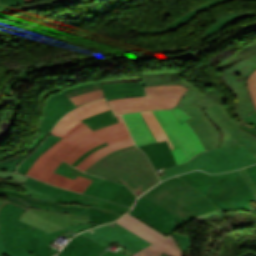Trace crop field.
Returning <instances> with one entry per match:
<instances>
[{"label": "crop field", "instance_id": "22", "mask_svg": "<svg viewBox=\"0 0 256 256\" xmlns=\"http://www.w3.org/2000/svg\"><path fill=\"white\" fill-rule=\"evenodd\" d=\"M139 148L148 155L157 173L177 165L166 141L140 146Z\"/></svg>", "mask_w": 256, "mask_h": 256}, {"label": "crop field", "instance_id": "51", "mask_svg": "<svg viewBox=\"0 0 256 256\" xmlns=\"http://www.w3.org/2000/svg\"><path fill=\"white\" fill-rule=\"evenodd\" d=\"M154 115L156 116L157 120L159 121L160 125L162 126V128L164 129V131L166 132V134L168 135L174 149L177 148L176 143L174 142L173 138L171 137L170 133L168 132L167 128L165 127L164 123L162 122L160 116L158 115V113L156 111H153Z\"/></svg>", "mask_w": 256, "mask_h": 256}, {"label": "crop field", "instance_id": "5", "mask_svg": "<svg viewBox=\"0 0 256 256\" xmlns=\"http://www.w3.org/2000/svg\"><path fill=\"white\" fill-rule=\"evenodd\" d=\"M15 186L25 189L28 196L16 191L3 190L8 201L27 208L31 210L30 212L59 226L89 223L87 207L52 202L55 197L42 194L23 185Z\"/></svg>", "mask_w": 256, "mask_h": 256}, {"label": "crop field", "instance_id": "43", "mask_svg": "<svg viewBox=\"0 0 256 256\" xmlns=\"http://www.w3.org/2000/svg\"><path fill=\"white\" fill-rule=\"evenodd\" d=\"M247 86L256 109V70L248 77Z\"/></svg>", "mask_w": 256, "mask_h": 256}, {"label": "crop field", "instance_id": "10", "mask_svg": "<svg viewBox=\"0 0 256 256\" xmlns=\"http://www.w3.org/2000/svg\"><path fill=\"white\" fill-rule=\"evenodd\" d=\"M116 222L152 244L131 256H160L162 253L167 256H183L182 250L172 235L165 237L156 229L128 213Z\"/></svg>", "mask_w": 256, "mask_h": 256}, {"label": "crop field", "instance_id": "2", "mask_svg": "<svg viewBox=\"0 0 256 256\" xmlns=\"http://www.w3.org/2000/svg\"><path fill=\"white\" fill-rule=\"evenodd\" d=\"M117 118L120 122L104 127L95 132L89 129L85 124L80 123L66 136H64V138L72 143L56 156L72 164L91 148L104 142L109 143L110 145L94 152L76 166L84 171L108 153L121 147L133 145V140L121 116L117 115Z\"/></svg>", "mask_w": 256, "mask_h": 256}, {"label": "crop field", "instance_id": "15", "mask_svg": "<svg viewBox=\"0 0 256 256\" xmlns=\"http://www.w3.org/2000/svg\"><path fill=\"white\" fill-rule=\"evenodd\" d=\"M77 106L63 93L53 94L47 97L46 104L37 129L42 130L43 135L27 151L31 153L35 150L44 138L48 135L54 124L69 110Z\"/></svg>", "mask_w": 256, "mask_h": 256}, {"label": "crop field", "instance_id": "38", "mask_svg": "<svg viewBox=\"0 0 256 256\" xmlns=\"http://www.w3.org/2000/svg\"><path fill=\"white\" fill-rule=\"evenodd\" d=\"M133 60H149V59H183L195 61L192 50L186 53L179 54L177 56H132Z\"/></svg>", "mask_w": 256, "mask_h": 256}, {"label": "crop field", "instance_id": "49", "mask_svg": "<svg viewBox=\"0 0 256 256\" xmlns=\"http://www.w3.org/2000/svg\"><path fill=\"white\" fill-rule=\"evenodd\" d=\"M1 2H6L7 10L21 6L23 4H28L25 0H1Z\"/></svg>", "mask_w": 256, "mask_h": 256}, {"label": "crop field", "instance_id": "20", "mask_svg": "<svg viewBox=\"0 0 256 256\" xmlns=\"http://www.w3.org/2000/svg\"><path fill=\"white\" fill-rule=\"evenodd\" d=\"M236 75L225 73L227 86H230L232 90L237 94L238 101L237 106L234 107V115L242 119L247 114L253 112L255 109L252 105L250 95L246 86V77L242 81H237Z\"/></svg>", "mask_w": 256, "mask_h": 256}, {"label": "crop field", "instance_id": "33", "mask_svg": "<svg viewBox=\"0 0 256 256\" xmlns=\"http://www.w3.org/2000/svg\"><path fill=\"white\" fill-rule=\"evenodd\" d=\"M146 122L148 123L151 131L153 132L157 142L166 140L170 149H173L167 135L159 125L158 121L156 120L155 116L153 115L152 111L149 112H142Z\"/></svg>", "mask_w": 256, "mask_h": 256}, {"label": "crop field", "instance_id": "26", "mask_svg": "<svg viewBox=\"0 0 256 256\" xmlns=\"http://www.w3.org/2000/svg\"><path fill=\"white\" fill-rule=\"evenodd\" d=\"M129 210L130 209L125 206L109 202L105 203L97 209L88 207L89 221L90 223H107L115 221Z\"/></svg>", "mask_w": 256, "mask_h": 256}, {"label": "crop field", "instance_id": "25", "mask_svg": "<svg viewBox=\"0 0 256 256\" xmlns=\"http://www.w3.org/2000/svg\"><path fill=\"white\" fill-rule=\"evenodd\" d=\"M106 100L145 95L143 82H123L101 84Z\"/></svg>", "mask_w": 256, "mask_h": 256}, {"label": "crop field", "instance_id": "6", "mask_svg": "<svg viewBox=\"0 0 256 256\" xmlns=\"http://www.w3.org/2000/svg\"><path fill=\"white\" fill-rule=\"evenodd\" d=\"M255 163L256 156L243 145L231 153L219 147L208 150L185 164L163 170L166 175L160 177V179L164 180L194 169H202L209 173H221Z\"/></svg>", "mask_w": 256, "mask_h": 256}, {"label": "crop field", "instance_id": "14", "mask_svg": "<svg viewBox=\"0 0 256 256\" xmlns=\"http://www.w3.org/2000/svg\"><path fill=\"white\" fill-rule=\"evenodd\" d=\"M81 235L91 240H94L104 246L110 245L118 241L132 254L151 245L147 241L129 232L115 222L106 226L94 228L85 233H81Z\"/></svg>", "mask_w": 256, "mask_h": 256}, {"label": "crop field", "instance_id": "28", "mask_svg": "<svg viewBox=\"0 0 256 256\" xmlns=\"http://www.w3.org/2000/svg\"><path fill=\"white\" fill-rule=\"evenodd\" d=\"M56 202H61L64 204H72L73 202L78 203L79 205L89 206V207H99L104 204L106 201L91 198L88 196L80 195L74 192L64 190L57 198Z\"/></svg>", "mask_w": 256, "mask_h": 256}, {"label": "crop field", "instance_id": "59", "mask_svg": "<svg viewBox=\"0 0 256 256\" xmlns=\"http://www.w3.org/2000/svg\"><path fill=\"white\" fill-rule=\"evenodd\" d=\"M102 256H127V255L117 254V253H114L112 251L106 250Z\"/></svg>", "mask_w": 256, "mask_h": 256}, {"label": "crop field", "instance_id": "62", "mask_svg": "<svg viewBox=\"0 0 256 256\" xmlns=\"http://www.w3.org/2000/svg\"><path fill=\"white\" fill-rule=\"evenodd\" d=\"M17 168V166L13 167L12 169H10V171H15Z\"/></svg>", "mask_w": 256, "mask_h": 256}, {"label": "crop field", "instance_id": "64", "mask_svg": "<svg viewBox=\"0 0 256 256\" xmlns=\"http://www.w3.org/2000/svg\"><path fill=\"white\" fill-rule=\"evenodd\" d=\"M161 256H164L163 254Z\"/></svg>", "mask_w": 256, "mask_h": 256}, {"label": "crop field", "instance_id": "65", "mask_svg": "<svg viewBox=\"0 0 256 256\" xmlns=\"http://www.w3.org/2000/svg\"><path fill=\"white\" fill-rule=\"evenodd\" d=\"M6 183V182H5Z\"/></svg>", "mask_w": 256, "mask_h": 256}, {"label": "crop field", "instance_id": "55", "mask_svg": "<svg viewBox=\"0 0 256 256\" xmlns=\"http://www.w3.org/2000/svg\"><path fill=\"white\" fill-rule=\"evenodd\" d=\"M246 170L249 176L251 177V179L253 180L254 184L256 185V165L246 167Z\"/></svg>", "mask_w": 256, "mask_h": 256}, {"label": "crop field", "instance_id": "47", "mask_svg": "<svg viewBox=\"0 0 256 256\" xmlns=\"http://www.w3.org/2000/svg\"><path fill=\"white\" fill-rule=\"evenodd\" d=\"M171 111L176 116V118L180 121L181 124L185 122L187 119L191 118L190 115H188L185 111L181 110L178 107H176Z\"/></svg>", "mask_w": 256, "mask_h": 256}, {"label": "crop field", "instance_id": "36", "mask_svg": "<svg viewBox=\"0 0 256 256\" xmlns=\"http://www.w3.org/2000/svg\"><path fill=\"white\" fill-rule=\"evenodd\" d=\"M136 198L124 184L110 200L131 207Z\"/></svg>", "mask_w": 256, "mask_h": 256}, {"label": "crop field", "instance_id": "53", "mask_svg": "<svg viewBox=\"0 0 256 256\" xmlns=\"http://www.w3.org/2000/svg\"><path fill=\"white\" fill-rule=\"evenodd\" d=\"M73 63H77V61H69V62H64V63H49V64H45V65H38L37 67L39 68V70H41L44 68H52V67L59 66V65H69V64H73Z\"/></svg>", "mask_w": 256, "mask_h": 256}, {"label": "crop field", "instance_id": "61", "mask_svg": "<svg viewBox=\"0 0 256 256\" xmlns=\"http://www.w3.org/2000/svg\"><path fill=\"white\" fill-rule=\"evenodd\" d=\"M36 1H40V0H30V1H27V2L32 3V2H36Z\"/></svg>", "mask_w": 256, "mask_h": 256}, {"label": "crop field", "instance_id": "17", "mask_svg": "<svg viewBox=\"0 0 256 256\" xmlns=\"http://www.w3.org/2000/svg\"><path fill=\"white\" fill-rule=\"evenodd\" d=\"M62 229L26 210L19 221V229L17 235L18 245L26 252L28 256H34L28 247L27 236L41 238L45 234Z\"/></svg>", "mask_w": 256, "mask_h": 256}, {"label": "crop field", "instance_id": "44", "mask_svg": "<svg viewBox=\"0 0 256 256\" xmlns=\"http://www.w3.org/2000/svg\"><path fill=\"white\" fill-rule=\"evenodd\" d=\"M8 177H12L13 180H8L7 183H11V184H22L27 177L25 176H21L18 175L16 173H12L9 171H2L0 172V178H8Z\"/></svg>", "mask_w": 256, "mask_h": 256}, {"label": "crop field", "instance_id": "24", "mask_svg": "<svg viewBox=\"0 0 256 256\" xmlns=\"http://www.w3.org/2000/svg\"><path fill=\"white\" fill-rule=\"evenodd\" d=\"M137 146L155 143L156 140L141 112L122 115Z\"/></svg>", "mask_w": 256, "mask_h": 256}, {"label": "crop field", "instance_id": "4", "mask_svg": "<svg viewBox=\"0 0 256 256\" xmlns=\"http://www.w3.org/2000/svg\"><path fill=\"white\" fill-rule=\"evenodd\" d=\"M142 196L187 221L218 209L210 200L179 177L163 181Z\"/></svg>", "mask_w": 256, "mask_h": 256}, {"label": "crop field", "instance_id": "35", "mask_svg": "<svg viewBox=\"0 0 256 256\" xmlns=\"http://www.w3.org/2000/svg\"><path fill=\"white\" fill-rule=\"evenodd\" d=\"M56 173L73 178V179H75L78 175H80V176H83V177H86V178H89L92 180H97L99 182H101V180H102L101 178H97L92 175H87V174L77 170L76 168L71 167L69 164H67L65 162H63L62 164L59 165V167L56 170Z\"/></svg>", "mask_w": 256, "mask_h": 256}, {"label": "crop field", "instance_id": "58", "mask_svg": "<svg viewBox=\"0 0 256 256\" xmlns=\"http://www.w3.org/2000/svg\"><path fill=\"white\" fill-rule=\"evenodd\" d=\"M187 49H190V48H182V49L169 50V51H149V52H140V53H178Z\"/></svg>", "mask_w": 256, "mask_h": 256}, {"label": "crop field", "instance_id": "11", "mask_svg": "<svg viewBox=\"0 0 256 256\" xmlns=\"http://www.w3.org/2000/svg\"><path fill=\"white\" fill-rule=\"evenodd\" d=\"M203 112L221 132V147L231 152L243 144L250 151L256 153V136L239 128L242 123L230 118L225 104L205 109Z\"/></svg>", "mask_w": 256, "mask_h": 256}, {"label": "crop field", "instance_id": "18", "mask_svg": "<svg viewBox=\"0 0 256 256\" xmlns=\"http://www.w3.org/2000/svg\"><path fill=\"white\" fill-rule=\"evenodd\" d=\"M24 211L25 209L12 203L5 204L0 210V228L5 246L18 256H27L16 241L18 220Z\"/></svg>", "mask_w": 256, "mask_h": 256}, {"label": "crop field", "instance_id": "7", "mask_svg": "<svg viewBox=\"0 0 256 256\" xmlns=\"http://www.w3.org/2000/svg\"><path fill=\"white\" fill-rule=\"evenodd\" d=\"M186 89L183 85L145 87L146 96L122 98L107 102L115 114L149 109H169L176 106Z\"/></svg>", "mask_w": 256, "mask_h": 256}, {"label": "crop field", "instance_id": "16", "mask_svg": "<svg viewBox=\"0 0 256 256\" xmlns=\"http://www.w3.org/2000/svg\"><path fill=\"white\" fill-rule=\"evenodd\" d=\"M181 109L185 110L193 118L188 120L193 130L202 140L206 150L219 147L221 143V134L214 127V125L208 120V118L203 114L201 109L192 105L188 101L182 100L177 105Z\"/></svg>", "mask_w": 256, "mask_h": 256}, {"label": "crop field", "instance_id": "21", "mask_svg": "<svg viewBox=\"0 0 256 256\" xmlns=\"http://www.w3.org/2000/svg\"><path fill=\"white\" fill-rule=\"evenodd\" d=\"M239 57L243 60L225 72L248 77L256 69V43L245 46L237 54L218 64V67Z\"/></svg>", "mask_w": 256, "mask_h": 256}, {"label": "crop field", "instance_id": "45", "mask_svg": "<svg viewBox=\"0 0 256 256\" xmlns=\"http://www.w3.org/2000/svg\"><path fill=\"white\" fill-rule=\"evenodd\" d=\"M240 175L242 176L244 182L246 183L247 187L249 188L251 194L256 193V187L253 184L252 180L248 176L247 172L245 169L239 170Z\"/></svg>", "mask_w": 256, "mask_h": 256}, {"label": "crop field", "instance_id": "41", "mask_svg": "<svg viewBox=\"0 0 256 256\" xmlns=\"http://www.w3.org/2000/svg\"><path fill=\"white\" fill-rule=\"evenodd\" d=\"M28 156H29V154L20 152L4 161H1L0 169L8 170L11 167L15 166L16 164H18L19 162H21L23 159H25Z\"/></svg>", "mask_w": 256, "mask_h": 256}, {"label": "crop field", "instance_id": "57", "mask_svg": "<svg viewBox=\"0 0 256 256\" xmlns=\"http://www.w3.org/2000/svg\"><path fill=\"white\" fill-rule=\"evenodd\" d=\"M240 122L243 123L240 128H243L244 130L256 135V128L255 127L251 126L250 124L246 125L242 120Z\"/></svg>", "mask_w": 256, "mask_h": 256}, {"label": "crop field", "instance_id": "50", "mask_svg": "<svg viewBox=\"0 0 256 256\" xmlns=\"http://www.w3.org/2000/svg\"><path fill=\"white\" fill-rule=\"evenodd\" d=\"M28 239H29V246H30L31 250L33 251L34 255L41 256V254L38 250V242L40 239L31 238V237H28Z\"/></svg>", "mask_w": 256, "mask_h": 256}, {"label": "crop field", "instance_id": "46", "mask_svg": "<svg viewBox=\"0 0 256 256\" xmlns=\"http://www.w3.org/2000/svg\"><path fill=\"white\" fill-rule=\"evenodd\" d=\"M98 225H101V224H80V225H68V226H64V227L79 233L83 230H86V229H89V228H92V227H95Z\"/></svg>", "mask_w": 256, "mask_h": 256}, {"label": "crop field", "instance_id": "34", "mask_svg": "<svg viewBox=\"0 0 256 256\" xmlns=\"http://www.w3.org/2000/svg\"><path fill=\"white\" fill-rule=\"evenodd\" d=\"M23 185L32 188L34 190L43 192L45 194L51 195V196H55L57 197L58 194H60L64 189L62 188H58V187H54L52 185H47L44 184L42 182H39L33 178H27V180L23 183Z\"/></svg>", "mask_w": 256, "mask_h": 256}, {"label": "crop field", "instance_id": "48", "mask_svg": "<svg viewBox=\"0 0 256 256\" xmlns=\"http://www.w3.org/2000/svg\"><path fill=\"white\" fill-rule=\"evenodd\" d=\"M0 195H4L2 189H0ZM5 203H8V202L0 201V209H1V207H2ZM4 254L11 256V255H13L14 253L10 252L8 249H6V248L4 247L3 240H2V236L0 235V256H4Z\"/></svg>", "mask_w": 256, "mask_h": 256}, {"label": "crop field", "instance_id": "9", "mask_svg": "<svg viewBox=\"0 0 256 256\" xmlns=\"http://www.w3.org/2000/svg\"><path fill=\"white\" fill-rule=\"evenodd\" d=\"M70 142L61 139L53 147L42 154L33 164L27 175L36 179L43 180L66 189H72L83 193L92 180L78 176L75 180L58 175L55 172L58 165L63 162L54 157L59 151L66 147Z\"/></svg>", "mask_w": 256, "mask_h": 256}, {"label": "crop field", "instance_id": "56", "mask_svg": "<svg viewBox=\"0 0 256 256\" xmlns=\"http://www.w3.org/2000/svg\"><path fill=\"white\" fill-rule=\"evenodd\" d=\"M221 213H223V212H221L220 210H217V211H213V212L203 214V215L197 217V219L202 222V221H204L205 219H207L211 216L218 215V214H221Z\"/></svg>", "mask_w": 256, "mask_h": 256}, {"label": "crop field", "instance_id": "30", "mask_svg": "<svg viewBox=\"0 0 256 256\" xmlns=\"http://www.w3.org/2000/svg\"><path fill=\"white\" fill-rule=\"evenodd\" d=\"M88 127L93 131L98 130L104 126L110 125L112 123L118 122L115 115L112 114L111 110L93 115L82 120Z\"/></svg>", "mask_w": 256, "mask_h": 256}, {"label": "crop field", "instance_id": "39", "mask_svg": "<svg viewBox=\"0 0 256 256\" xmlns=\"http://www.w3.org/2000/svg\"><path fill=\"white\" fill-rule=\"evenodd\" d=\"M99 88H101L100 87V82H96V83H89V84H84V85L76 86V87H73V88H69V89H66L63 92L68 97H70V96L78 95V94H81V93L93 91V90L99 89Z\"/></svg>", "mask_w": 256, "mask_h": 256}, {"label": "crop field", "instance_id": "52", "mask_svg": "<svg viewBox=\"0 0 256 256\" xmlns=\"http://www.w3.org/2000/svg\"><path fill=\"white\" fill-rule=\"evenodd\" d=\"M105 145H108L107 143L105 144H101L93 149H91L90 151H88L87 153H85L82 157H80L77 161H75L72 165L75 166L77 165L78 163H80L81 161H83L86 157H88L92 152L100 149L101 147L105 146Z\"/></svg>", "mask_w": 256, "mask_h": 256}, {"label": "crop field", "instance_id": "19", "mask_svg": "<svg viewBox=\"0 0 256 256\" xmlns=\"http://www.w3.org/2000/svg\"><path fill=\"white\" fill-rule=\"evenodd\" d=\"M109 110L104 99L78 107L71 112L67 113L55 126L51 134L63 137L76 125L81 119L91 116L93 114Z\"/></svg>", "mask_w": 256, "mask_h": 256}, {"label": "crop field", "instance_id": "31", "mask_svg": "<svg viewBox=\"0 0 256 256\" xmlns=\"http://www.w3.org/2000/svg\"><path fill=\"white\" fill-rule=\"evenodd\" d=\"M224 1H227V0H215V1L208 2V3H206V4L202 5V6L194 9L192 12L188 13L187 15L182 17L181 19L177 20L176 22H174L173 24L169 25L168 27H166V28H164L162 30H140V31H137V32L140 33V34H143V33H162V32L171 31V30L175 29L176 27H178L179 25H181L184 22H186L187 20H189L192 17H194V15L198 11H200V10H202L204 8H207V7L219 4V3L224 2Z\"/></svg>", "mask_w": 256, "mask_h": 256}, {"label": "crop field", "instance_id": "12", "mask_svg": "<svg viewBox=\"0 0 256 256\" xmlns=\"http://www.w3.org/2000/svg\"><path fill=\"white\" fill-rule=\"evenodd\" d=\"M157 112L179 147L171 150L177 164L185 163L195 155L206 151L187 121L181 125L170 110H158Z\"/></svg>", "mask_w": 256, "mask_h": 256}, {"label": "crop field", "instance_id": "13", "mask_svg": "<svg viewBox=\"0 0 256 256\" xmlns=\"http://www.w3.org/2000/svg\"><path fill=\"white\" fill-rule=\"evenodd\" d=\"M143 80L144 86L184 84V86L189 87L190 89L185 93L183 98L201 109L209 108L224 102L223 95L217 91L212 90L204 95L197 92L192 88L191 84L180 79L179 72L147 73L144 74Z\"/></svg>", "mask_w": 256, "mask_h": 256}, {"label": "crop field", "instance_id": "8", "mask_svg": "<svg viewBox=\"0 0 256 256\" xmlns=\"http://www.w3.org/2000/svg\"><path fill=\"white\" fill-rule=\"evenodd\" d=\"M128 213L158 229L165 236L172 234L183 252H187V247L191 246L190 236H183L174 232L186 221L162 209L150 200L141 196L136 201L133 210Z\"/></svg>", "mask_w": 256, "mask_h": 256}, {"label": "crop field", "instance_id": "63", "mask_svg": "<svg viewBox=\"0 0 256 256\" xmlns=\"http://www.w3.org/2000/svg\"><path fill=\"white\" fill-rule=\"evenodd\" d=\"M253 196H254V197H255V199H256V194H254Z\"/></svg>", "mask_w": 256, "mask_h": 256}, {"label": "crop field", "instance_id": "27", "mask_svg": "<svg viewBox=\"0 0 256 256\" xmlns=\"http://www.w3.org/2000/svg\"><path fill=\"white\" fill-rule=\"evenodd\" d=\"M122 185V183L105 179L101 183L93 181L85 190L84 194L109 200Z\"/></svg>", "mask_w": 256, "mask_h": 256}, {"label": "crop field", "instance_id": "60", "mask_svg": "<svg viewBox=\"0 0 256 256\" xmlns=\"http://www.w3.org/2000/svg\"><path fill=\"white\" fill-rule=\"evenodd\" d=\"M5 10H6L5 3H0V12Z\"/></svg>", "mask_w": 256, "mask_h": 256}, {"label": "crop field", "instance_id": "37", "mask_svg": "<svg viewBox=\"0 0 256 256\" xmlns=\"http://www.w3.org/2000/svg\"><path fill=\"white\" fill-rule=\"evenodd\" d=\"M103 97V93L102 90H96L90 93H86V94H82V95H78V96H74V97H70V99L77 105L80 106L82 104L88 103V102H92L95 100H99L102 99Z\"/></svg>", "mask_w": 256, "mask_h": 256}, {"label": "crop field", "instance_id": "29", "mask_svg": "<svg viewBox=\"0 0 256 256\" xmlns=\"http://www.w3.org/2000/svg\"><path fill=\"white\" fill-rule=\"evenodd\" d=\"M60 139V137H56L50 134L46 138V140L40 145V147L27 159L24 160V162L18 167L17 172L26 174L27 171L30 169L31 165L35 162V160Z\"/></svg>", "mask_w": 256, "mask_h": 256}, {"label": "crop field", "instance_id": "23", "mask_svg": "<svg viewBox=\"0 0 256 256\" xmlns=\"http://www.w3.org/2000/svg\"><path fill=\"white\" fill-rule=\"evenodd\" d=\"M105 249V247L77 235L57 256H100Z\"/></svg>", "mask_w": 256, "mask_h": 256}, {"label": "crop field", "instance_id": "1", "mask_svg": "<svg viewBox=\"0 0 256 256\" xmlns=\"http://www.w3.org/2000/svg\"><path fill=\"white\" fill-rule=\"evenodd\" d=\"M86 172L125 182L136 196L143 194L160 181L146 155L135 145L108 154Z\"/></svg>", "mask_w": 256, "mask_h": 256}, {"label": "crop field", "instance_id": "42", "mask_svg": "<svg viewBox=\"0 0 256 256\" xmlns=\"http://www.w3.org/2000/svg\"><path fill=\"white\" fill-rule=\"evenodd\" d=\"M67 231H69V230L63 229V230H58V231H56V232L49 233V234L45 235V236L41 239V241H40V243H39V250H40L42 256H50V255H49V251H48V243H49V240H50L52 237H54V236H56V235H58V234L67 232Z\"/></svg>", "mask_w": 256, "mask_h": 256}, {"label": "crop field", "instance_id": "54", "mask_svg": "<svg viewBox=\"0 0 256 256\" xmlns=\"http://www.w3.org/2000/svg\"><path fill=\"white\" fill-rule=\"evenodd\" d=\"M246 124L251 123L256 127V110L242 119Z\"/></svg>", "mask_w": 256, "mask_h": 256}, {"label": "crop field", "instance_id": "40", "mask_svg": "<svg viewBox=\"0 0 256 256\" xmlns=\"http://www.w3.org/2000/svg\"><path fill=\"white\" fill-rule=\"evenodd\" d=\"M36 71H38V69H37V67H34V68H30L26 71L21 72L19 75H17L14 79H12L10 81V83L7 85V87L3 91V94L14 96V92L12 91L13 86L18 82L24 81V79L27 76H29L30 74H32L33 72H36Z\"/></svg>", "mask_w": 256, "mask_h": 256}, {"label": "crop field", "instance_id": "32", "mask_svg": "<svg viewBox=\"0 0 256 256\" xmlns=\"http://www.w3.org/2000/svg\"><path fill=\"white\" fill-rule=\"evenodd\" d=\"M248 14H254V12L253 11H243V12L239 11L237 13L226 14V15L221 16V17H216L218 22L213 27H211L207 31H205L199 39L202 40V39H205V38L209 37L214 32H216L218 29H220L222 26L238 19L241 16H245V15H248Z\"/></svg>", "mask_w": 256, "mask_h": 256}, {"label": "crop field", "instance_id": "3", "mask_svg": "<svg viewBox=\"0 0 256 256\" xmlns=\"http://www.w3.org/2000/svg\"><path fill=\"white\" fill-rule=\"evenodd\" d=\"M179 177L208 197L223 212L234 210L250 212L248 202L256 201L238 171L216 175L194 171L179 175Z\"/></svg>", "mask_w": 256, "mask_h": 256}]
</instances>
